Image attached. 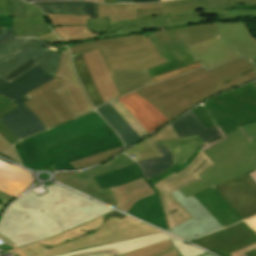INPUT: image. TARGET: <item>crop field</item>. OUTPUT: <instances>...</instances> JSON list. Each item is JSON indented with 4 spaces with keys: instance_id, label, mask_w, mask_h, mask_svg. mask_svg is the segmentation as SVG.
Here are the masks:
<instances>
[{
    "instance_id": "1",
    "label": "crop field",
    "mask_w": 256,
    "mask_h": 256,
    "mask_svg": "<svg viewBox=\"0 0 256 256\" xmlns=\"http://www.w3.org/2000/svg\"><path fill=\"white\" fill-rule=\"evenodd\" d=\"M192 111L207 128L216 126L223 138L201 147L216 165L199 175L204 180L179 189L185 197L256 170V88L252 83Z\"/></svg>"
},
{
    "instance_id": "2",
    "label": "crop field",
    "mask_w": 256,
    "mask_h": 256,
    "mask_svg": "<svg viewBox=\"0 0 256 256\" xmlns=\"http://www.w3.org/2000/svg\"><path fill=\"white\" fill-rule=\"evenodd\" d=\"M46 189L49 193L37 197L32 191L7 208L0 221L3 244L15 248L113 211L59 185H50Z\"/></svg>"
},
{
    "instance_id": "3",
    "label": "crop field",
    "mask_w": 256,
    "mask_h": 256,
    "mask_svg": "<svg viewBox=\"0 0 256 256\" xmlns=\"http://www.w3.org/2000/svg\"><path fill=\"white\" fill-rule=\"evenodd\" d=\"M254 79L255 67L245 59L237 58L209 71L201 68L134 92L170 121L200 101Z\"/></svg>"
},
{
    "instance_id": "4",
    "label": "crop field",
    "mask_w": 256,
    "mask_h": 256,
    "mask_svg": "<svg viewBox=\"0 0 256 256\" xmlns=\"http://www.w3.org/2000/svg\"><path fill=\"white\" fill-rule=\"evenodd\" d=\"M102 217L46 241L15 248V250L19 256H51L105 242H116L159 232L127 216L122 220L113 217L107 222L103 221Z\"/></svg>"
},
{
    "instance_id": "5",
    "label": "crop field",
    "mask_w": 256,
    "mask_h": 256,
    "mask_svg": "<svg viewBox=\"0 0 256 256\" xmlns=\"http://www.w3.org/2000/svg\"><path fill=\"white\" fill-rule=\"evenodd\" d=\"M197 0H178L162 3L164 9L137 11L138 20L109 25L106 19H89L88 30L102 35L95 38L124 35L145 29L166 28L214 19L256 17V10H210L196 13ZM94 39V38H92Z\"/></svg>"
},
{
    "instance_id": "6",
    "label": "crop field",
    "mask_w": 256,
    "mask_h": 256,
    "mask_svg": "<svg viewBox=\"0 0 256 256\" xmlns=\"http://www.w3.org/2000/svg\"><path fill=\"white\" fill-rule=\"evenodd\" d=\"M97 48L110 72L144 70L167 62L157 52L149 34L82 43L69 49L76 56Z\"/></svg>"
},
{
    "instance_id": "7",
    "label": "crop field",
    "mask_w": 256,
    "mask_h": 256,
    "mask_svg": "<svg viewBox=\"0 0 256 256\" xmlns=\"http://www.w3.org/2000/svg\"><path fill=\"white\" fill-rule=\"evenodd\" d=\"M53 78L38 63L10 82L0 76V94L19 106L1 117L0 121L20 140L46 129L23 103L31 98L25 93Z\"/></svg>"
},
{
    "instance_id": "8",
    "label": "crop field",
    "mask_w": 256,
    "mask_h": 256,
    "mask_svg": "<svg viewBox=\"0 0 256 256\" xmlns=\"http://www.w3.org/2000/svg\"><path fill=\"white\" fill-rule=\"evenodd\" d=\"M183 164V163H180ZM180 164H174L161 175L148 179L149 183L158 191L169 229L192 218L172 197L171 192L202 180L198 175L215 165L201 150L189 166L177 174L170 170L178 169Z\"/></svg>"
},
{
    "instance_id": "9",
    "label": "crop field",
    "mask_w": 256,
    "mask_h": 256,
    "mask_svg": "<svg viewBox=\"0 0 256 256\" xmlns=\"http://www.w3.org/2000/svg\"><path fill=\"white\" fill-rule=\"evenodd\" d=\"M44 42L37 36L17 37L14 33L0 44V75L3 77L11 70L30 58H34L47 72L54 75L60 55L44 49Z\"/></svg>"
},
{
    "instance_id": "10",
    "label": "crop field",
    "mask_w": 256,
    "mask_h": 256,
    "mask_svg": "<svg viewBox=\"0 0 256 256\" xmlns=\"http://www.w3.org/2000/svg\"><path fill=\"white\" fill-rule=\"evenodd\" d=\"M106 125L101 116L94 112L56 128L21 141L30 163L50 159L46 148L61 144L74 137L91 132Z\"/></svg>"
},
{
    "instance_id": "11",
    "label": "crop field",
    "mask_w": 256,
    "mask_h": 256,
    "mask_svg": "<svg viewBox=\"0 0 256 256\" xmlns=\"http://www.w3.org/2000/svg\"><path fill=\"white\" fill-rule=\"evenodd\" d=\"M64 84L66 83L55 78L27 93L32 98L24 104L41 120L47 129L74 119L58 96L52 91Z\"/></svg>"
},
{
    "instance_id": "12",
    "label": "crop field",
    "mask_w": 256,
    "mask_h": 256,
    "mask_svg": "<svg viewBox=\"0 0 256 256\" xmlns=\"http://www.w3.org/2000/svg\"><path fill=\"white\" fill-rule=\"evenodd\" d=\"M132 163H134V161L131 158L121 154L116 159L83 173H57L55 174L54 178L70 187H73L99 201L114 207L117 203L109 188L101 190L93 177L103 173H108L110 171L118 170Z\"/></svg>"
},
{
    "instance_id": "13",
    "label": "crop field",
    "mask_w": 256,
    "mask_h": 256,
    "mask_svg": "<svg viewBox=\"0 0 256 256\" xmlns=\"http://www.w3.org/2000/svg\"><path fill=\"white\" fill-rule=\"evenodd\" d=\"M55 77L68 83L54 90V92L60 97L75 118L94 111L72 69L67 47L62 48L59 69Z\"/></svg>"
},
{
    "instance_id": "14",
    "label": "crop field",
    "mask_w": 256,
    "mask_h": 256,
    "mask_svg": "<svg viewBox=\"0 0 256 256\" xmlns=\"http://www.w3.org/2000/svg\"><path fill=\"white\" fill-rule=\"evenodd\" d=\"M172 195L194 217L170 229L172 233L191 240L222 228L193 196L185 198L178 190L173 192ZM195 234H198V236H195Z\"/></svg>"
},
{
    "instance_id": "15",
    "label": "crop field",
    "mask_w": 256,
    "mask_h": 256,
    "mask_svg": "<svg viewBox=\"0 0 256 256\" xmlns=\"http://www.w3.org/2000/svg\"><path fill=\"white\" fill-rule=\"evenodd\" d=\"M222 256L256 242V234L243 222L192 241Z\"/></svg>"
},
{
    "instance_id": "16",
    "label": "crop field",
    "mask_w": 256,
    "mask_h": 256,
    "mask_svg": "<svg viewBox=\"0 0 256 256\" xmlns=\"http://www.w3.org/2000/svg\"><path fill=\"white\" fill-rule=\"evenodd\" d=\"M215 188L244 219L256 214V183L249 174Z\"/></svg>"
},
{
    "instance_id": "17",
    "label": "crop field",
    "mask_w": 256,
    "mask_h": 256,
    "mask_svg": "<svg viewBox=\"0 0 256 256\" xmlns=\"http://www.w3.org/2000/svg\"><path fill=\"white\" fill-rule=\"evenodd\" d=\"M52 30L63 40L65 43L73 42L82 39H90L91 37L100 34L87 31V16H69V15H55L45 13Z\"/></svg>"
},
{
    "instance_id": "18",
    "label": "crop field",
    "mask_w": 256,
    "mask_h": 256,
    "mask_svg": "<svg viewBox=\"0 0 256 256\" xmlns=\"http://www.w3.org/2000/svg\"><path fill=\"white\" fill-rule=\"evenodd\" d=\"M117 99L149 134L169 122L153 105L134 92Z\"/></svg>"
},
{
    "instance_id": "19",
    "label": "crop field",
    "mask_w": 256,
    "mask_h": 256,
    "mask_svg": "<svg viewBox=\"0 0 256 256\" xmlns=\"http://www.w3.org/2000/svg\"><path fill=\"white\" fill-rule=\"evenodd\" d=\"M217 28L218 37L228 49L250 62L256 59V43L248 37L243 22L217 23Z\"/></svg>"
},
{
    "instance_id": "20",
    "label": "crop field",
    "mask_w": 256,
    "mask_h": 256,
    "mask_svg": "<svg viewBox=\"0 0 256 256\" xmlns=\"http://www.w3.org/2000/svg\"><path fill=\"white\" fill-rule=\"evenodd\" d=\"M150 36L155 42L157 48L181 41H186L189 46L216 37L217 28L215 23L151 33Z\"/></svg>"
},
{
    "instance_id": "21",
    "label": "crop field",
    "mask_w": 256,
    "mask_h": 256,
    "mask_svg": "<svg viewBox=\"0 0 256 256\" xmlns=\"http://www.w3.org/2000/svg\"><path fill=\"white\" fill-rule=\"evenodd\" d=\"M82 55L104 102L106 103L120 96L99 50L90 51Z\"/></svg>"
},
{
    "instance_id": "22",
    "label": "crop field",
    "mask_w": 256,
    "mask_h": 256,
    "mask_svg": "<svg viewBox=\"0 0 256 256\" xmlns=\"http://www.w3.org/2000/svg\"><path fill=\"white\" fill-rule=\"evenodd\" d=\"M194 197L205 206L223 228L243 220L214 187L204 190Z\"/></svg>"
},
{
    "instance_id": "23",
    "label": "crop field",
    "mask_w": 256,
    "mask_h": 256,
    "mask_svg": "<svg viewBox=\"0 0 256 256\" xmlns=\"http://www.w3.org/2000/svg\"><path fill=\"white\" fill-rule=\"evenodd\" d=\"M188 48L196 59L207 69H211L238 57V55L228 50L220 42L218 37L189 46Z\"/></svg>"
},
{
    "instance_id": "24",
    "label": "crop field",
    "mask_w": 256,
    "mask_h": 256,
    "mask_svg": "<svg viewBox=\"0 0 256 256\" xmlns=\"http://www.w3.org/2000/svg\"><path fill=\"white\" fill-rule=\"evenodd\" d=\"M169 238H170L169 235H166L163 232H161L154 235L134 238V239L125 240L117 243H112V244L98 246L90 249L67 253L59 256H81V255L93 254V253L104 252V251H114V252H111L109 254H101L97 256H115V254L120 255V254L129 252L150 244H154Z\"/></svg>"
},
{
    "instance_id": "25",
    "label": "crop field",
    "mask_w": 256,
    "mask_h": 256,
    "mask_svg": "<svg viewBox=\"0 0 256 256\" xmlns=\"http://www.w3.org/2000/svg\"><path fill=\"white\" fill-rule=\"evenodd\" d=\"M33 175L15 165L0 161V190L18 197L33 182Z\"/></svg>"
},
{
    "instance_id": "26",
    "label": "crop field",
    "mask_w": 256,
    "mask_h": 256,
    "mask_svg": "<svg viewBox=\"0 0 256 256\" xmlns=\"http://www.w3.org/2000/svg\"><path fill=\"white\" fill-rule=\"evenodd\" d=\"M117 205L115 208L127 212L129 208L139 199L156 193L144 178L132 181L129 184L110 188Z\"/></svg>"
},
{
    "instance_id": "27",
    "label": "crop field",
    "mask_w": 256,
    "mask_h": 256,
    "mask_svg": "<svg viewBox=\"0 0 256 256\" xmlns=\"http://www.w3.org/2000/svg\"><path fill=\"white\" fill-rule=\"evenodd\" d=\"M170 124L179 137L198 134L207 143L222 137L216 127L207 129L192 111Z\"/></svg>"
},
{
    "instance_id": "28",
    "label": "crop field",
    "mask_w": 256,
    "mask_h": 256,
    "mask_svg": "<svg viewBox=\"0 0 256 256\" xmlns=\"http://www.w3.org/2000/svg\"><path fill=\"white\" fill-rule=\"evenodd\" d=\"M25 3V18H14V33L21 35H39L51 31L36 6Z\"/></svg>"
},
{
    "instance_id": "29",
    "label": "crop field",
    "mask_w": 256,
    "mask_h": 256,
    "mask_svg": "<svg viewBox=\"0 0 256 256\" xmlns=\"http://www.w3.org/2000/svg\"><path fill=\"white\" fill-rule=\"evenodd\" d=\"M127 213L167 230L157 193L136 202Z\"/></svg>"
},
{
    "instance_id": "30",
    "label": "crop field",
    "mask_w": 256,
    "mask_h": 256,
    "mask_svg": "<svg viewBox=\"0 0 256 256\" xmlns=\"http://www.w3.org/2000/svg\"><path fill=\"white\" fill-rule=\"evenodd\" d=\"M163 8L161 3L147 5L119 4L102 5L98 3V18L109 17L110 24L122 20L137 19L136 10Z\"/></svg>"
},
{
    "instance_id": "31",
    "label": "crop field",
    "mask_w": 256,
    "mask_h": 256,
    "mask_svg": "<svg viewBox=\"0 0 256 256\" xmlns=\"http://www.w3.org/2000/svg\"><path fill=\"white\" fill-rule=\"evenodd\" d=\"M108 124L117 132L128 147L142 138L125 122L122 116L109 104L96 109Z\"/></svg>"
},
{
    "instance_id": "32",
    "label": "crop field",
    "mask_w": 256,
    "mask_h": 256,
    "mask_svg": "<svg viewBox=\"0 0 256 256\" xmlns=\"http://www.w3.org/2000/svg\"><path fill=\"white\" fill-rule=\"evenodd\" d=\"M37 4L43 12L69 15L90 14L97 18V3L94 2H32Z\"/></svg>"
},
{
    "instance_id": "33",
    "label": "crop field",
    "mask_w": 256,
    "mask_h": 256,
    "mask_svg": "<svg viewBox=\"0 0 256 256\" xmlns=\"http://www.w3.org/2000/svg\"><path fill=\"white\" fill-rule=\"evenodd\" d=\"M154 144L156 147L164 144L171 151L175 163L186 162L198 148L205 145L198 135L154 142Z\"/></svg>"
},
{
    "instance_id": "34",
    "label": "crop field",
    "mask_w": 256,
    "mask_h": 256,
    "mask_svg": "<svg viewBox=\"0 0 256 256\" xmlns=\"http://www.w3.org/2000/svg\"><path fill=\"white\" fill-rule=\"evenodd\" d=\"M177 137L178 135L173 131V128L169 124L168 126L161 129L159 132H157L155 135L148 137L145 141L139 143L131 150L125 152V154L135 155L136 157L133 158L135 161L160 157L161 154L151 142Z\"/></svg>"
},
{
    "instance_id": "35",
    "label": "crop field",
    "mask_w": 256,
    "mask_h": 256,
    "mask_svg": "<svg viewBox=\"0 0 256 256\" xmlns=\"http://www.w3.org/2000/svg\"><path fill=\"white\" fill-rule=\"evenodd\" d=\"M119 140L120 139L115 134V135H112L110 137L101 139L99 141H96V142L87 144L85 146L79 147V148L74 149V150H72L70 152H67L65 154H62V155L59 154L60 156L53 157V158H51V160L43 161V162H37V163H32V164L28 163V160L26 158V154H25V152L23 150V147H22L20 142L15 144L14 148L18 152V154H19V156H20V158H21V160L23 162V165H25V166H27L29 168H38V167H50V166H53L52 162H54V161H58V160H61V159H64V158H68V157L74 156L76 154H79V153H82V152H85V151H88V150H91V149H94V148H97V147H100V146H103V145H106V144H109V143H113V142H116V141H119Z\"/></svg>"
},
{
    "instance_id": "36",
    "label": "crop field",
    "mask_w": 256,
    "mask_h": 256,
    "mask_svg": "<svg viewBox=\"0 0 256 256\" xmlns=\"http://www.w3.org/2000/svg\"><path fill=\"white\" fill-rule=\"evenodd\" d=\"M120 95L153 84L147 70L111 73Z\"/></svg>"
},
{
    "instance_id": "37",
    "label": "crop field",
    "mask_w": 256,
    "mask_h": 256,
    "mask_svg": "<svg viewBox=\"0 0 256 256\" xmlns=\"http://www.w3.org/2000/svg\"><path fill=\"white\" fill-rule=\"evenodd\" d=\"M141 177H143V174L141 173L137 164L134 163L118 171L97 176L95 177V180L102 189L106 187H115L117 185L125 184Z\"/></svg>"
},
{
    "instance_id": "38",
    "label": "crop field",
    "mask_w": 256,
    "mask_h": 256,
    "mask_svg": "<svg viewBox=\"0 0 256 256\" xmlns=\"http://www.w3.org/2000/svg\"><path fill=\"white\" fill-rule=\"evenodd\" d=\"M112 134H115V132L108 125H106L100 129H97V130L91 132V133L74 138L68 142L61 144V145L48 148L47 150H48L50 156L52 157V156H56V155L65 153V152L72 150L74 148H77L79 146L85 145L87 143L96 141L98 139L110 136Z\"/></svg>"
},
{
    "instance_id": "39",
    "label": "crop field",
    "mask_w": 256,
    "mask_h": 256,
    "mask_svg": "<svg viewBox=\"0 0 256 256\" xmlns=\"http://www.w3.org/2000/svg\"><path fill=\"white\" fill-rule=\"evenodd\" d=\"M157 148L163 157L138 162L146 179L161 174L174 163L170 151L164 145Z\"/></svg>"
},
{
    "instance_id": "40",
    "label": "crop field",
    "mask_w": 256,
    "mask_h": 256,
    "mask_svg": "<svg viewBox=\"0 0 256 256\" xmlns=\"http://www.w3.org/2000/svg\"><path fill=\"white\" fill-rule=\"evenodd\" d=\"M75 71L94 107L100 106L103 103L89 73L82 55L73 58Z\"/></svg>"
},
{
    "instance_id": "41",
    "label": "crop field",
    "mask_w": 256,
    "mask_h": 256,
    "mask_svg": "<svg viewBox=\"0 0 256 256\" xmlns=\"http://www.w3.org/2000/svg\"><path fill=\"white\" fill-rule=\"evenodd\" d=\"M193 63H197V60L191 55H186L183 57H180L178 59H175L173 61H170L168 63H165L161 66H158L156 68L153 69H149L148 72L151 76V78L167 73L169 71L193 64Z\"/></svg>"
},
{
    "instance_id": "42",
    "label": "crop field",
    "mask_w": 256,
    "mask_h": 256,
    "mask_svg": "<svg viewBox=\"0 0 256 256\" xmlns=\"http://www.w3.org/2000/svg\"><path fill=\"white\" fill-rule=\"evenodd\" d=\"M122 146H123L122 142L119 141V142H116V143H113V144H109V145H106V146H103V147H100V148H97V149L79 154L77 156H74V157H71V158H68V159H64V160H61V161H58V162H54L53 165L57 168V170H59V169H73V170H75L69 162L79 160V159L84 158V157L92 156V155L98 154L100 152L109 150V149L119 148V147H122Z\"/></svg>"
},
{
    "instance_id": "43",
    "label": "crop field",
    "mask_w": 256,
    "mask_h": 256,
    "mask_svg": "<svg viewBox=\"0 0 256 256\" xmlns=\"http://www.w3.org/2000/svg\"><path fill=\"white\" fill-rule=\"evenodd\" d=\"M172 248L174 247L171 243V240L169 239L120 256H158Z\"/></svg>"
},
{
    "instance_id": "44",
    "label": "crop field",
    "mask_w": 256,
    "mask_h": 256,
    "mask_svg": "<svg viewBox=\"0 0 256 256\" xmlns=\"http://www.w3.org/2000/svg\"><path fill=\"white\" fill-rule=\"evenodd\" d=\"M15 104L11 103L3 96L0 95V117L9 111L16 108ZM0 133L5 137V139L12 145L20 141L4 124L0 122Z\"/></svg>"
},
{
    "instance_id": "45",
    "label": "crop field",
    "mask_w": 256,
    "mask_h": 256,
    "mask_svg": "<svg viewBox=\"0 0 256 256\" xmlns=\"http://www.w3.org/2000/svg\"><path fill=\"white\" fill-rule=\"evenodd\" d=\"M236 2L243 4H256V0H198L197 9L236 7Z\"/></svg>"
},
{
    "instance_id": "46",
    "label": "crop field",
    "mask_w": 256,
    "mask_h": 256,
    "mask_svg": "<svg viewBox=\"0 0 256 256\" xmlns=\"http://www.w3.org/2000/svg\"><path fill=\"white\" fill-rule=\"evenodd\" d=\"M122 149H123V147L119 148V149H115V150L106 151V152L100 153L98 155H95V156H92L89 158H85L83 160L71 162V164L73 165L74 168H78V169L87 168L88 166H93L97 163L105 161L107 158L121 152Z\"/></svg>"
},
{
    "instance_id": "47",
    "label": "crop field",
    "mask_w": 256,
    "mask_h": 256,
    "mask_svg": "<svg viewBox=\"0 0 256 256\" xmlns=\"http://www.w3.org/2000/svg\"><path fill=\"white\" fill-rule=\"evenodd\" d=\"M126 120V122L143 138L148 133L138 123V121L118 102L117 99L109 102Z\"/></svg>"
},
{
    "instance_id": "48",
    "label": "crop field",
    "mask_w": 256,
    "mask_h": 256,
    "mask_svg": "<svg viewBox=\"0 0 256 256\" xmlns=\"http://www.w3.org/2000/svg\"><path fill=\"white\" fill-rule=\"evenodd\" d=\"M157 50L168 61L178 58L180 56L189 54L184 42L166 46V47H162V48H158Z\"/></svg>"
},
{
    "instance_id": "49",
    "label": "crop field",
    "mask_w": 256,
    "mask_h": 256,
    "mask_svg": "<svg viewBox=\"0 0 256 256\" xmlns=\"http://www.w3.org/2000/svg\"><path fill=\"white\" fill-rule=\"evenodd\" d=\"M0 154L10 158L11 160L20 164V161L14 152L12 146L0 134Z\"/></svg>"
},
{
    "instance_id": "50",
    "label": "crop field",
    "mask_w": 256,
    "mask_h": 256,
    "mask_svg": "<svg viewBox=\"0 0 256 256\" xmlns=\"http://www.w3.org/2000/svg\"><path fill=\"white\" fill-rule=\"evenodd\" d=\"M176 248L179 250V252L182 256H196V255L206 253V252H204L186 242L176 246Z\"/></svg>"
},
{
    "instance_id": "51",
    "label": "crop field",
    "mask_w": 256,
    "mask_h": 256,
    "mask_svg": "<svg viewBox=\"0 0 256 256\" xmlns=\"http://www.w3.org/2000/svg\"><path fill=\"white\" fill-rule=\"evenodd\" d=\"M10 16L11 17H24V2L21 0H10Z\"/></svg>"
},
{
    "instance_id": "52",
    "label": "crop field",
    "mask_w": 256,
    "mask_h": 256,
    "mask_svg": "<svg viewBox=\"0 0 256 256\" xmlns=\"http://www.w3.org/2000/svg\"><path fill=\"white\" fill-rule=\"evenodd\" d=\"M199 67H202L201 64H199V63L193 64V65H190V66H187V67H184V68H181V69H178V70L169 72V73H167V74L158 76V77H156V78H153V81H154V83H156V82H158V81H160V80H163V79H166V78L175 76V75H179V74H182V73L191 71V70L196 69V68H199Z\"/></svg>"
},
{
    "instance_id": "53",
    "label": "crop field",
    "mask_w": 256,
    "mask_h": 256,
    "mask_svg": "<svg viewBox=\"0 0 256 256\" xmlns=\"http://www.w3.org/2000/svg\"><path fill=\"white\" fill-rule=\"evenodd\" d=\"M35 63H37L33 58L30 59L29 61H27L26 63L22 64L21 66H19L18 68L14 69L13 71H11L9 74H7L5 77L6 80H11L12 78H14L15 76L19 75L20 73H22L23 71H25L26 69H28L29 67H31L32 65H34ZM10 82V81H9Z\"/></svg>"
},
{
    "instance_id": "54",
    "label": "crop field",
    "mask_w": 256,
    "mask_h": 256,
    "mask_svg": "<svg viewBox=\"0 0 256 256\" xmlns=\"http://www.w3.org/2000/svg\"><path fill=\"white\" fill-rule=\"evenodd\" d=\"M39 37L42 38L44 41L50 43L51 45L62 42L53 32Z\"/></svg>"
},
{
    "instance_id": "55",
    "label": "crop field",
    "mask_w": 256,
    "mask_h": 256,
    "mask_svg": "<svg viewBox=\"0 0 256 256\" xmlns=\"http://www.w3.org/2000/svg\"><path fill=\"white\" fill-rule=\"evenodd\" d=\"M13 199H14V197H12L6 193L0 192V214L3 210V208L5 207V205Z\"/></svg>"
},
{
    "instance_id": "56",
    "label": "crop field",
    "mask_w": 256,
    "mask_h": 256,
    "mask_svg": "<svg viewBox=\"0 0 256 256\" xmlns=\"http://www.w3.org/2000/svg\"><path fill=\"white\" fill-rule=\"evenodd\" d=\"M250 175L256 181V171L251 173ZM244 221L246 224H248L250 227H252L256 231V216L246 219Z\"/></svg>"
},
{
    "instance_id": "57",
    "label": "crop field",
    "mask_w": 256,
    "mask_h": 256,
    "mask_svg": "<svg viewBox=\"0 0 256 256\" xmlns=\"http://www.w3.org/2000/svg\"><path fill=\"white\" fill-rule=\"evenodd\" d=\"M255 249L256 250V244H253L251 246H248L246 248H243V249H240L238 251H235L233 253H231L232 256H242L244 253L248 252V251H251Z\"/></svg>"
},
{
    "instance_id": "58",
    "label": "crop field",
    "mask_w": 256,
    "mask_h": 256,
    "mask_svg": "<svg viewBox=\"0 0 256 256\" xmlns=\"http://www.w3.org/2000/svg\"><path fill=\"white\" fill-rule=\"evenodd\" d=\"M0 26L13 27V18L0 16Z\"/></svg>"
},
{
    "instance_id": "59",
    "label": "crop field",
    "mask_w": 256,
    "mask_h": 256,
    "mask_svg": "<svg viewBox=\"0 0 256 256\" xmlns=\"http://www.w3.org/2000/svg\"><path fill=\"white\" fill-rule=\"evenodd\" d=\"M4 33L0 36V43L5 40L13 32V28L3 27Z\"/></svg>"
},
{
    "instance_id": "60",
    "label": "crop field",
    "mask_w": 256,
    "mask_h": 256,
    "mask_svg": "<svg viewBox=\"0 0 256 256\" xmlns=\"http://www.w3.org/2000/svg\"><path fill=\"white\" fill-rule=\"evenodd\" d=\"M0 15L9 16L6 9V0H0Z\"/></svg>"
},
{
    "instance_id": "61",
    "label": "crop field",
    "mask_w": 256,
    "mask_h": 256,
    "mask_svg": "<svg viewBox=\"0 0 256 256\" xmlns=\"http://www.w3.org/2000/svg\"><path fill=\"white\" fill-rule=\"evenodd\" d=\"M160 256H179V254L177 253L176 249L174 248Z\"/></svg>"
},
{
    "instance_id": "62",
    "label": "crop field",
    "mask_w": 256,
    "mask_h": 256,
    "mask_svg": "<svg viewBox=\"0 0 256 256\" xmlns=\"http://www.w3.org/2000/svg\"><path fill=\"white\" fill-rule=\"evenodd\" d=\"M158 0H132V3L157 2Z\"/></svg>"
},
{
    "instance_id": "63",
    "label": "crop field",
    "mask_w": 256,
    "mask_h": 256,
    "mask_svg": "<svg viewBox=\"0 0 256 256\" xmlns=\"http://www.w3.org/2000/svg\"><path fill=\"white\" fill-rule=\"evenodd\" d=\"M171 237H172V236H171ZM172 240H173L175 246L183 242V241H181V240H179V239H176V238H174V237H172Z\"/></svg>"
},
{
    "instance_id": "64",
    "label": "crop field",
    "mask_w": 256,
    "mask_h": 256,
    "mask_svg": "<svg viewBox=\"0 0 256 256\" xmlns=\"http://www.w3.org/2000/svg\"><path fill=\"white\" fill-rule=\"evenodd\" d=\"M244 27H245V29H246V31H247L249 37H250L251 39H253V40L256 42V39L253 38V37L250 35V33H249L248 29H247V26H246V22H244Z\"/></svg>"
},
{
    "instance_id": "65",
    "label": "crop field",
    "mask_w": 256,
    "mask_h": 256,
    "mask_svg": "<svg viewBox=\"0 0 256 256\" xmlns=\"http://www.w3.org/2000/svg\"><path fill=\"white\" fill-rule=\"evenodd\" d=\"M246 256H256V251L255 250H253V251H251V252H249V253H247V254H245Z\"/></svg>"
},
{
    "instance_id": "66",
    "label": "crop field",
    "mask_w": 256,
    "mask_h": 256,
    "mask_svg": "<svg viewBox=\"0 0 256 256\" xmlns=\"http://www.w3.org/2000/svg\"><path fill=\"white\" fill-rule=\"evenodd\" d=\"M104 3H115V0H104Z\"/></svg>"
},
{
    "instance_id": "67",
    "label": "crop field",
    "mask_w": 256,
    "mask_h": 256,
    "mask_svg": "<svg viewBox=\"0 0 256 256\" xmlns=\"http://www.w3.org/2000/svg\"><path fill=\"white\" fill-rule=\"evenodd\" d=\"M120 2H131V0H117L116 3H120Z\"/></svg>"
},
{
    "instance_id": "68",
    "label": "crop field",
    "mask_w": 256,
    "mask_h": 256,
    "mask_svg": "<svg viewBox=\"0 0 256 256\" xmlns=\"http://www.w3.org/2000/svg\"><path fill=\"white\" fill-rule=\"evenodd\" d=\"M201 256H213V255H211V254H209V253H206V254L201 255Z\"/></svg>"
},
{
    "instance_id": "69",
    "label": "crop field",
    "mask_w": 256,
    "mask_h": 256,
    "mask_svg": "<svg viewBox=\"0 0 256 256\" xmlns=\"http://www.w3.org/2000/svg\"><path fill=\"white\" fill-rule=\"evenodd\" d=\"M3 33L2 27H0V35Z\"/></svg>"
},
{
    "instance_id": "70",
    "label": "crop field",
    "mask_w": 256,
    "mask_h": 256,
    "mask_svg": "<svg viewBox=\"0 0 256 256\" xmlns=\"http://www.w3.org/2000/svg\"><path fill=\"white\" fill-rule=\"evenodd\" d=\"M95 1L103 3V0H95Z\"/></svg>"
},
{
    "instance_id": "71",
    "label": "crop field",
    "mask_w": 256,
    "mask_h": 256,
    "mask_svg": "<svg viewBox=\"0 0 256 256\" xmlns=\"http://www.w3.org/2000/svg\"><path fill=\"white\" fill-rule=\"evenodd\" d=\"M256 60L252 61L251 63L255 64ZM256 65V64H255Z\"/></svg>"
},
{
    "instance_id": "72",
    "label": "crop field",
    "mask_w": 256,
    "mask_h": 256,
    "mask_svg": "<svg viewBox=\"0 0 256 256\" xmlns=\"http://www.w3.org/2000/svg\"><path fill=\"white\" fill-rule=\"evenodd\" d=\"M253 84L255 85V87H256V81L255 82H253Z\"/></svg>"
},
{
    "instance_id": "73",
    "label": "crop field",
    "mask_w": 256,
    "mask_h": 256,
    "mask_svg": "<svg viewBox=\"0 0 256 256\" xmlns=\"http://www.w3.org/2000/svg\"><path fill=\"white\" fill-rule=\"evenodd\" d=\"M26 1H36V0H26Z\"/></svg>"
},
{
    "instance_id": "74",
    "label": "crop field",
    "mask_w": 256,
    "mask_h": 256,
    "mask_svg": "<svg viewBox=\"0 0 256 256\" xmlns=\"http://www.w3.org/2000/svg\"><path fill=\"white\" fill-rule=\"evenodd\" d=\"M159 1H166V0H159Z\"/></svg>"
},
{
    "instance_id": "75",
    "label": "crop field",
    "mask_w": 256,
    "mask_h": 256,
    "mask_svg": "<svg viewBox=\"0 0 256 256\" xmlns=\"http://www.w3.org/2000/svg\"><path fill=\"white\" fill-rule=\"evenodd\" d=\"M256 233V232H255Z\"/></svg>"
},
{
    "instance_id": "76",
    "label": "crop field",
    "mask_w": 256,
    "mask_h": 256,
    "mask_svg": "<svg viewBox=\"0 0 256 256\" xmlns=\"http://www.w3.org/2000/svg\"><path fill=\"white\" fill-rule=\"evenodd\" d=\"M244 256V255H243Z\"/></svg>"
}]
</instances>
